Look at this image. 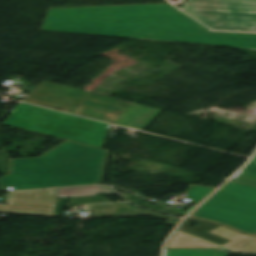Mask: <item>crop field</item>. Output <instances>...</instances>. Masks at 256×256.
<instances>
[{
    "label": "crop field",
    "mask_w": 256,
    "mask_h": 256,
    "mask_svg": "<svg viewBox=\"0 0 256 256\" xmlns=\"http://www.w3.org/2000/svg\"><path fill=\"white\" fill-rule=\"evenodd\" d=\"M168 12H179V14L52 20V18H63V17L126 15V14H147V13H168ZM172 17H183V18L63 24V25L52 24V23H63V22L107 21V20L172 18ZM179 21H189V23L75 28V27H85V26L123 25V24L179 22ZM147 28H167V29H180V30L208 31V29H206L204 26H202L192 18L188 17L178 9L47 15L41 30L128 38L129 36Z\"/></svg>",
    "instance_id": "ac0d7876"
},
{
    "label": "crop field",
    "mask_w": 256,
    "mask_h": 256,
    "mask_svg": "<svg viewBox=\"0 0 256 256\" xmlns=\"http://www.w3.org/2000/svg\"><path fill=\"white\" fill-rule=\"evenodd\" d=\"M183 7L256 12V0H185Z\"/></svg>",
    "instance_id": "e52e79f7"
},
{
    "label": "crop field",
    "mask_w": 256,
    "mask_h": 256,
    "mask_svg": "<svg viewBox=\"0 0 256 256\" xmlns=\"http://www.w3.org/2000/svg\"><path fill=\"white\" fill-rule=\"evenodd\" d=\"M23 102L141 130L160 111L42 80Z\"/></svg>",
    "instance_id": "8a807250"
},
{
    "label": "crop field",
    "mask_w": 256,
    "mask_h": 256,
    "mask_svg": "<svg viewBox=\"0 0 256 256\" xmlns=\"http://www.w3.org/2000/svg\"><path fill=\"white\" fill-rule=\"evenodd\" d=\"M219 246L203 241L201 239L187 235L181 231L176 233L170 239L166 248H217Z\"/></svg>",
    "instance_id": "3316defc"
},
{
    "label": "crop field",
    "mask_w": 256,
    "mask_h": 256,
    "mask_svg": "<svg viewBox=\"0 0 256 256\" xmlns=\"http://www.w3.org/2000/svg\"><path fill=\"white\" fill-rule=\"evenodd\" d=\"M211 29L256 31V13L183 9Z\"/></svg>",
    "instance_id": "f4fd0767"
},
{
    "label": "crop field",
    "mask_w": 256,
    "mask_h": 256,
    "mask_svg": "<svg viewBox=\"0 0 256 256\" xmlns=\"http://www.w3.org/2000/svg\"><path fill=\"white\" fill-rule=\"evenodd\" d=\"M166 8H174V7L169 5V4H157V5H133V6L61 8V9H49L47 14L102 12V11H123V10H144V9H166Z\"/></svg>",
    "instance_id": "d8731c3e"
},
{
    "label": "crop field",
    "mask_w": 256,
    "mask_h": 256,
    "mask_svg": "<svg viewBox=\"0 0 256 256\" xmlns=\"http://www.w3.org/2000/svg\"><path fill=\"white\" fill-rule=\"evenodd\" d=\"M216 249H165L164 256H227Z\"/></svg>",
    "instance_id": "28ad6ade"
},
{
    "label": "crop field",
    "mask_w": 256,
    "mask_h": 256,
    "mask_svg": "<svg viewBox=\"0 0 256 256\" xmlns=\"http://www.w3.org/2000/svg\"><path fill=\"white\" fill-rule=\"evenodd\" d=\"M66 201H67V199L58 200L56 202L53 217H60L61 216L62 209H63ZM105 202H111V201L104 198L103 196H94V197L71 198V199H69L68 204L69 205H76V204L105 203Z\"/></svg>",
    "instance_id": "d1516ede"
},
{
    "label": "crop field",
    "mask_w": 256,
    "mask_h": 256,
    "mask_svg": "<svg viewBox=\"0 0 256 256\" xmlns=\"http://www.w3.org/2000/svg\"><path fill=\"white\" fill-rule=\"evenodd\" d=\"M130 38L256 49V34L246 33L148 29Z\"/></svg>",
    "instance_id": "412701ff"
},
{
    "label": "crop field",
    "mask_w": 256,
    "mask_h": 256,
    "mask_svg": "<svg viewBox=\"0 0 256 256\" xmlns=\"http://www.w3.org/2000/svg\"><path fill=\"white\" fill-rule=\"evenodd\" d=\"M123 197H125L126 199L130 200L131 202L133 203H136L138 205H141L143 207H147V208H151V209H155V210H159V211H163V212H166V213H169V214H173V215H180V214H177L173 211H170L168 209H165L163 207H160L158 205H155L153 203H150V202H147V201H144L142 199H139V198H136V197H133L131 195H128V194H121Z\"/></svg>",
    "instance_id": "22f410ed"
},
{
    "label": "crop field",
    "mask_w": 256,
    "mask_h": 256,
    "mask_svg": "<svg viewBox=\"0 0 256 256\" xmlns=\"http://www.w3.org/2000/svg\"><path fill=\"white\" fill-rule=\"evenodd\" d=\"M191 221L199 223L196 227L192 228L190 227ZM220 225L200 221L197 219H193L188 217L180 226L178 229L184 230L186 232L195 234L197 236H200L202 238H205L207 240L213 241L215 243H218L220 245L228 242L229 240L214 236L209 234L208 232L219 227Z\"/></svg>",
    "instance_id": "5a996713"
},
{
    "label": "crop field",
    "mask_w": 256,
    "mask_h": 256,
    "mask_svg": "<svg viewBox=\"0 0 256 256\" xmlns=\"http://www.w3.org/2000/svg\"><path fill=\"white\" fill-rule=\"evenodd\" d=\"M4 125L101 148L108 125L19 103Z\"/></svg>",
    "instance_id": "34b2d1b8"
},
{
    "label": "crop field",
    "mask_w": 256,
    "mask_h": 256,
    "mask_svg": "<svg viewBox=\"0 0 256 256\" xmlns=\"http://www.w3.org/2000/svg\"><path fill=\"white\" fill-rule=\"evenodd\" d=\"M94 218L103 217H134V215L154 214L169 219L167 224L176 225L179 219L157 214L139 207L131 206L127 203H116L108 205L90 206Z\"/></svg>",
    "instance_id": "dd49c442"
}]
</instances>
